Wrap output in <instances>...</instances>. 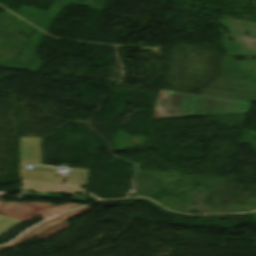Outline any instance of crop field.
Masks as SVG:
<instances>
[{
    "label": "crop field",
    "instance_id": "4",
    "mask_svg": "<svg viewBox=\"0 0 256 256\" xmlns=\"http://www.w3.org/2000/svg\"><path fill=\"white\" fill-rule=\"evenodd\" d=\"M88 169L70 168L64 182L84 187Z\"/></svg>",
    "mask_w": 256,
    "mask_h": 256
},
{
    "label": "crop field",
    "instance_id": "3",
    "mask_svg": "<svg viewBox=\"0 0 256 256\" xmlns=\"http://www.w3.org/2000/svg\"><path fill=\"white\" fill-rule=\"evenodd\" d=\"M23 188L26 189H33L35 191H52V192H58V191H65V192H82L83 190L69 185H58V184H52V183H45V182H37V181H27L22 180Z\"/></svg>",
    "mask_w": 256,
    "mask_h": 256
},
{
    "label": "crop field",
    "instance_id": "8",
    "mask_svg": "<svg viewBox=\"0 0 256 256\" xmlns=\"http://www.w3.org/2000/svg\"><path fill=\"white\" fill-rule=\"evenodd\" d=\"M16 198H18L19 200H22V195L19 194V195L16 196Z\"/></svg>",
    "mask_w": 256,
    "mask_h": 256
},
{
    "label": "crop field",
    "instance_id": "5",
    "mask_svg": "<svg viewBox=\"0 0 256 256\" xmlns=\"http://www.w3.org/2000/svg\"><path fill=\"white\" fill-rule=\"evenodd\" d=\"M20 223H22V222L0 215V234L13 228L14 226H16Z\"/></svg>",
    "mask_w": 256,
    "mask_h": 256
},
{
    "label": "crop field",
    "instance_id": "2",
    "mask_svg": "<svg viewBox=\"0 0 256 256\" xmlns=\"http://www.w3.org/2000/svg\"><path fill=\"white\" fill-rule=\"evenodd\" d=\"M41 138L20 137V179L61 183V177L53 173L26 169V164L40 163ZM39 170L54 169L38 167Z\"/></svg>",
    "mask_w": 256,
    "mask_h": 256
},
{
    "label": "crop field",
    "instance_id": "1",
    "mask_svg": "<svg viewBox=\"0 0 256 256\" xmlns=\"http://www.w3.org/2000/svg\"><path fill=\"white\" fill-rule=\"evenodd\" d=\"M250 103L160 90L152 119L248 112Z\"/></svg>",
    "mask_w": 256,
    "mask_h": 256
},
{
    "label": "crop field",
    "instance_id": "7",
    "mask_svg": "<svg viewBox=\"0 0 256 256\" xmlns=\"http://www.w3.org/2000/svg\"><path fill=\"white\" fill-rule=\"evenodd\" d=\"M27 195L39 196V197H51V196H48V194H41V195H36V194H27Z\"/></svg>",
    "mask_w": 256,
    "mask_h": 256
},
{
    "label": "crop field",
    "instance_id": "6",
    "mask_svg": "<svg viewBox=\"0 0 256 256\" xmlns=\"http://www.w3.org/2000/svg\"><path fill=\"white\" fill-rule=\"evenodd\" d=\"M73 199L72 200H79V201H82V202H85L86 201V198H85V195H81V196H78V195H73Z\"/></svg>",
    "mask_w": 256,
    "mask_h": 256
}]
</instances>
